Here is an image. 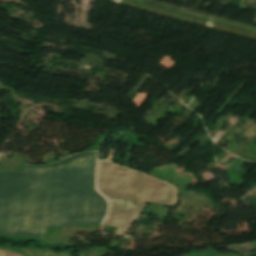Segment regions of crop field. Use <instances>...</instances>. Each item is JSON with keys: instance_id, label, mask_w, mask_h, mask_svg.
<instances>
[{"instance_id": "8a807250", "label": "crop field", "mask_w": 256, "mask_h": 256, "mask_svg": "<svg viewBox=\"0 0 256 256\" xmlns=\"http://www.w3.org/2000/svg\"><path fill=\"white\" fill-rule=\"evenodd\" d=\"M96 156L26 165L23 174L1 171L0 235L42 238L46 227L101 223L107 203L94 189Z\"/></svg>"}, {"instance_id": "ac0d7876", "label": "crop field", "mask_w": 256, "mask_h": 256, "mask_svg": "<svg viewBox=\"0 0 256 256\" xmlns=\"http://www.w3.org/2000/svg\"><path fill=\"white\" fill-rule=\"evenodd\" d=\"M98 189L110 200L103 225L118 227L116 233L124 235L147 202L173 206L177 200L174 186L104 162L98 163Z\"/></svg>"}, {"instance_id": "34b2d1b8", "label": "crop field", "mask_w": 256, "mask_h": 256, "mask_svg": "<svg viewBox=\"0 0 256 256\" xmlns=\"http://www.w3.org/2000/svg\"><path fill=\"white\" fill-rule=\"evenodd\" d=\"M0 256H23L17 252L0 249Z\"/></svg>"}]
</instances>
